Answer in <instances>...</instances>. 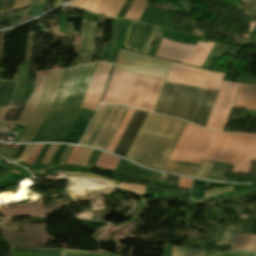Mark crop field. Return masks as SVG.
<instances>
[{"instance_id":"obj_1","label":"crop field","mask_w":256,"mask_h":256,"mask_svg":"<svg viewBox=\"0 0 256 256\" xmlns=\"http://www.w3.org/2000/svg\"><path fill=\"white\" fill-rule=\"evenodd\" d=\"M256 137L187 127L172 159L197 164L201 160L234 164L236 172L249 173Z\"/></svg>"},{"instance_id":"obj_2","label":"crop field","mask_w":256,"mask_h":256,"mask_svg":"<svg viewBox=\"0 0 256 256\" xmlns=\"http://www.w3.org/2000/svg\"><path fill=\"white\" fill-rule=\"evenodd\" d=\"M187 123L148 113L126 158L149 168L195 176L196 166L168 161Z\"/></svg>"},{"instance_id":"obj_3","label":"crop field","mask_w":256,"mask_h":256,"mask_svg":"<svg viewBox=\"0 0 256 256\" xmlns=\"http://www.w3.org/2000/svg\"><path fill=\"white\" fill-rule=\"evenodd\" d=\"M95 64L67 69L56 99L33 142H61L76 116Z\"/></svg>"},{"instance_id":"obj_4","label":"crop field","mask_w":256,"mask_h":256,"mask_svg":"<svg viewBox=\"0 0 256 256\" xmlns=\"http://www.w3.org/2000/svg\"><path fill=\"white\" fill-rule=\"evenodd\" d=\"M218 91L165 83L154 112L204 127Z\"/></svg>"},{"instance_id":"obj_5","label":"crop field","mask_w":256,"mask_h":256,"mask_svg":"<svg viewBox=\"0 0 256 256\" xmlns=\"http://www.w3.org/2000/svg\"><path fill=\"white\" fill-rule=\"evenodd\" d=\"M127 108L101 105L80 144L106 150Z\"/></svg>"},{"instance_id":"obj_6","label":"crop field","mask_w":256,"mask_h":256,"mask_svg":"<svg viewBox=\"0 0 256 256\" xmlns=\"http://www.w3.org/2000/svg\"><path fill=\"white\" fill-rule=\"evenodd\" d=\"M170 63L139 53L119 50L115 70L164 79Z\"/></svg>"},{"instance_id":"obj_7","label":"crop field","mask_w":256,"mask_h":256,"mask_svg":"<svg viewBox=\"0 0 256 256\" xmlns=\"http://www.w3.org/2000/svg\"><path fill=\"white\" fill-rule=\"evenodd\" d=\"M213 44L198 41L196 46H192L162 38L155 56L201 67Z\"/></svg>"},{"instance_id":"obj_8","label":"crop field","mask_w":256,"mask_h":256,"mask_svg":"<svg viewBox=\"0 0 256 256\" xmlns=\"http://www.w3.org/2000/svg\"><path fill=\"white\" fill-rule=\"evenodd\" d=\"M65 70L66 69L55 70L51 72L43 96L32 117L30 118L27 126L25 127L23 133L21 134L18 142H32L36 132L38 131L41 123L43 122L47 112L49 111L55 99Z\"/></svg>"},{"instance_id":"obj_9","label":"crop field","mask_w":256,"mask_h":256,"mask_svg":"<svg viewBox=\"0 0 256 256\" xmlns=\"http://www.w3.org/2000/svg\"><path fill=\"white\" fill-rule=\"evenodd\" d=\"M112 66L113 65L98 63L94 73L109 75ZM108 77L109 76H105V75H97V74L93 75L88 91L86 93L85 99L83 101L84 103L97 106ZM84 103L82 104L81 107L93 109V110L96 109V106H92Z\"/></svg>"},{"instance_id":"obj_10","label":"crop field","mask_w":256,"mask_h":256,"mask_svg":"<svg viewBox=\"0 0 256 256\" xmlns=\"http://www.w3.org/2000/svg\"><path fill=\"white\" fill-rule=\"evenodd\" d=\"M125 0H76L68 6L79 7L93 13L116 17Z\"/></svg>"},{"instance_id":"obj_11","label":"crop field","mask_w":256,"mask_h":256,"mask_svg":"<svg viewBox=\"0 0 256 256\" xmlns=\"http://www.w3.org/2000/svg\"><path fill=\"white\" fill-rule=\"evenodd\" d=\"M147 113L135 110L113 153L125 157Z\"/></svg>"},{"instance_id":"obj_12","label":"crop field","mask_w":256,"mask_h":256,"mask_svg":"<svg viewBox=\"0 0 256 256\" xmlns=\"http://www.w3.org/2000/svg\"><path fill=\"white\" fill-rule=\"evenodd\" d=\"M93 113V110L80 108L63 142H71L78 144Z\"/></svg>"},{"instance_id":"obj_13","label":"crop field","mask_w":256,"mask_h":256,"mask_svg":"<svg viewBox=\"0 0 256 256\" xmlns=\"http://www.w3.org/2000/svg\"><path fill=\"white\" fill-rule=\"evenodd\" d=\"M48 77H49V74L39 75L36 89L32 97L28 101V103L25 105L16 124L24 125V126L27 124L29 118L31 117L34 109L36 108L42 96Z\"/></svg>"},{"instance_id":"obj_14","label":"crop field","mask_w":256,"mask_h":256,"mask_svg":"<svg viewBox=\"0 0 256 256\" xmlns=\"http://www.w3.org/2000/svg\"><path fill=\"white\" fill-rule=\"evenodd\" d=\"M149 28V25L131 21L126 35L124 47L138 51Z\"/></svg>"},{"instance_id":"obj_15","label":"crop field","mask_w":256,"mask_h":256,"mask_svg":"<svg viewBox=\"0 0 256 256\" xmlns=\"http://www.w3.org/2000/svg\"><path fill=\"white\" fill-rule=\"evenodd\" d=\"M232 250L256 251V236L234 233Z\"/></svg>"},{"instance_id":"obj_16","label":"crop field","mask_w":256,"mask_h":256,"mask_svg":"<svg viewBox=\"0 0 256 256\" xmlns=\"http://www.w3.org/2000/svg\"><path fill=\"white\" fill-rule=\"evenodd\" d=\"M218 253H219V250H202V249L174 246L172 256H213Z\"/></svg>"},{"instance_id":"obj_17","label":"crop field","mask_w":256,"mask_h":256,"mask_svg":"<svg viewBox=\"0 0 256 256\" xmlns=\"http://www.w3.org/2000/svg\"><path fill=\"white\" fill-rule=\"evenodd\" d=\"M1 77V69H0ZM16 81L0 79V107L8 105Z\"/></svg>"},{"instance_id":"obj_18","label":"crop field","mask_w":256,"mask_h":256,"mask_svg":"<svg viewBox=\"0 0 256 256\" xmlns=\"http://www.w3.org/2000/svg\"><path fill=\"white\" fill-rule=\"evenodd\" d=\"M13 3L14 0H0V14L9 12L12 8ZM29 3L30 0H15L12 10L27 7Z\"/></svg>"},{"instance_id":"obj_19","label":"crop field","mask_w":256,"mask_h":256,"mask_svg":"<svg viewBox=\"0 0 256 256\" xmlns=\"http://www.w3.org/2000/svg\"><path fill=\"white\" fill-rule=\"evenodd\" d=\"M95 24L96 22H89L88 43L83 64L91 62L94 50Z\"/></svg>"},{"instance_id":"obj_20","label":"crop field","mask_w":256,"mask_h":256,"mask_svg":"<svg viewBox=\"0 0 256 256\" xmlns=\"http://www.w3.org/2000/svg\"><path fill=\"white\" fill-rule=\"evenodd\" d=\"M87 32H88V22L82 21V45L80 48L76 65L82 64L83 62V58L86 50V43H87Z\"/></svg>"},{"instance_id":"obj_21","label":"crop field","mask_w":256,"mask_h":256,"mask_svg":"<svg viewBox=\"0 0 256 256\" xmlns=\"http://www.w3.org/2000/svg\"><path fill=\"white\" fill-rule=\"evenodd\" d=\"M118 161H119V158L103 153L100 160L97 163V166L114 170Z\"/></svg>"},{"instance_id":"obj_22","label":"crop field","mask_w":256,"mask_h":256,"mask_svg":"<svg viewBox=\"0 0 256 256\" xmlns=\"http://www.w3.org/2000/svg\"><path fill=\"white\" fill-rule=\"evenodd\" d=\"M47 0H32L30 4V19L43 13Z\"/></svg>"},{"instance_id":"obj_23","label":"crop field","mask_w":256,"mask_h":256,"mask_svg":"<svg viewBox=\"0 0 256 256\" xmlns=\"http://www.w3.org/2000/svg\"><path fill=\"white\" fill-rule=\"evenodd\" d=\"M81 149V148H80ZM80 151V150H79ZM93 150H90V149H84L82 148L74 165L75 166H81V167H85L91 154H92Z\"/></svg>"},{"instance_id":"obj_24","label":"crop field","mask_w":256,"mask_h":256,"mask_svg":"<svg viewBox=\"0 0 256 256\" xmlns=\"http://www.w3.org/2000/svg\"><path fill=\"white\" fill-rule=\"evenodd\" d=\"M206 182L194 180L191 186V195L204 197Z\"/></svg>"},{"instance_id":"obj_25","label":"crop field","mask_w":256,"mask_h":256,"mask_svg":"<svg viewBox=\"0 0 256 256\" xmlns=\"http://www.w3.org/2000/svg\"><path fill=\"white\" fill-rule=\"evenodd\" d=\"M61 256H113V255H105V254H97V253H89V252H81V251L62 250Z\"/></svg>"},{"instance_id":"obj_26","label":"crop field","mask_w":256,"mask_h":256,"mask_svg":"<svg viewBox=\"0 0 256 256\" xmlns=\"http://www.w3.org/2000/svg\"><path fill=\"white\" fill-rule=\"evenodd\" d=\"M64 177H90V178H94V179H98V180L107 181V182L112 183V184L115 183V182H113L109 179L98 177V176L91 175V174H85V173L65 172Z\"/></svg>"},{"instance_id":"obj_27","label":"crop field","mask_w":256,"mask_h":256,"mask_svg":"<svg viewBox=\"0 0 256 256\" xmlns=\"http://www.w3.org/2000/svg\"><path fill=\"white\" fill-rule=\"evenodd\" d=\"M212 166H213V164H211V163L202 162L196 177L207 178L209 173H210V170H211Z\"/></svg>"},{"instance_id":"obj_28","label":"crop field","mask_w":256,"mask_h":256,"mask_svg":"<svg viewBox=\"0 0 256 256\" xmlns=\"http://www.w3.org/2000/svg\"><path fill=\"white\" fill-rule=\"evenodd\" d=\"M122 22L123 21H119L118 25H117V28H116V32H115V36H114L113 49H112V53H111L110 60H109V62H111V63H113V61H114L115 53H116V50H117L118 37H119L120 30H121Z\"/></svg>"},{"instance_id":"obj_29","label":"crop field","mask_w":256,"mask_h":256,"mask_svg":"<svg viewBox=\"0 0 256 256\" xmlns=\"http://www.w3.org/2000/svg\"><path fill=\"white\" fill-rule=\"evenodd\" d=\"M119 187L130 191V192H134V193H138V194H142L144 193V186H140V185H129V184H119Z\"/></svg>"},{"instance_id":"obj_30","label":"crop field","mask_w":256,"mask_h":256,"mask_svg":"<svg viewBox=\"0 0 256 256\" xmlns=\"http://www.w3.org/2000/svg\"><path fill=\"white\" fill-rule=\"evenodd\" d=\"M67 145H60L57 152L53 155L52 159L50 160L48 165H58V162L60 160V157L62 156L65 148Z\"/></svg>"},{"instance_id":"obj_31","label":"crop field","mask_w":256,"mask_h":256,"mask_svg":"<svg viewBox=\"0 0 256 256\" xmlns=\"http://www.w3.org/2000/svg\"><path fill=\"white\" fill-rule=\"evenodd\" d=\"M159 28L155 27L142 53L148 54Z\"/></svg>"},{"instance_id":"obj_32","label":"crop field","mask_w":256,"mask_h":256,"mask_svg":"<svg viewBox=\"0 0 256 256\" xmlns=\"http://www.w3.org/2000/svg\"><path fill=\"white\" fill-rule=\"evenodd\" d=\"M43 144L41 145H36V147L34 148L33 152L31 153V155L29 156L28 160H27V164H31L33 165L37 155L39 154L41 148H42Z\"/></svg>"},{"instance_id":"obj_33","label":"crop field","mask_w":256,"mask_h":256,"mask_svg":"<svg viewBox=\"0 0 256 256\" xmlns=\"http://www.w3.org/2000/svg\"><path fill=\"white\" fill-rule=\"evenodd\" d=\"M233 190L232 187H227V188H221V189H215V190H211V191H207L205 192V197H209V196H213L219 193H223V192H227V191H231Z\"/></svg>"},{"instance_id":"obj_34","label":"crop field","mask_w":256,"mask_h":256,"mask_svg":"<svg viewBox=\"0 0 256 256\" xmlns=\"http://www.w3.org/2000/svg\"><path fill=\"white\" fill-rule=\"evenodd\" d=\"M58 147H59V145H54V144L51 145V147H50V149H49L47 155L45 156V158H44V160H43L41 165L48 164L51 156L53 155V153L56 151V149Z\"/></svg>"},{"instance_id":"obj_35","label":"crop field","mask_w":256,"mask_h":256,"mask_svg":"<svg viewBox=\"0 0 256 256\" xmlns=\"http://www.w3.org/2000/svg\"><path fill=\"white\" fill-rule=\"evenodd\" d=\"M50 147V145H44L43 149L41 150L40 154L38 155L34 165H40L48 148Z\"/></svg>"},{"instance_id":"obj_36","label":"crop field","mask_w":256,"mask_h":256,"mask_svg":"<svg viewBox=\"0 0 256 256\" xmlns=\"http://www.w3.org/2000/svg\"><path fill=\"white\" fill-rule=\"evenodd\" d=\"M192 181V179L180 178L177 187L189 189Z\"/></svg>"},{"instance_id":"obj_37","label":"crop field","mask_w":256,"mask_h":256,"mask_svg":"<svg viewBox=\"0 0 256 256\" xmlns=\"http://www.w3.org/2000/svg\"><path fill=\"white\" fill-rule=\"evenodd\" d=\"M219 256H254V253L250 252H227Z\"/></svg>"},{"instance_id":"obj_38","label":"crop field","mask_w":256,"mask_h":256,"mask_svg":"<svg viewBox=\"0 0 256 256\" xmlns=\"http://www.w3.org/2000/svg\"><path fill=\"white\" fill-rule=\"evenodd\" d=\"M34 147H35V145H28L27 149L25 150L24 154L21 156V158L19 160L25 162Z\"/></svg>"},{"instance_id":"obj_39","label":"crop field","mask_w":256,"mask_h":256,"mask_svg":"<svg viewBox=\"0 0 256 256\" xmlns=\"http://www.w3.org/2000/svg\"><path fill=\"white\" fill-rule=\"evenodd\" d=\"M72 148H73V146H71V145L67 146V149L60 160V165H65L66 159H67L68 155L70 154Z\"/></svg>"},{"instance_id":"obj_40","label":"crop field","mask_w":256,"mask_h":256,"mask_svg":"<svg viewBox=\"0 0 256 256\" xmlns=\"http://www.w3.org/2000/svg\"><path fill=\"white\" fill-rule=\"evenodd\" d=\"M27 145H20L15 155L12 159L18 160L19 157L23 154L24 150L26 149Z\"/></svg>"},{"instance_id":"obj_41","label":"crop field","mask_w":256,"mask_h":256,"mask_svg":"<svg viewBox=\"0 0 256 256\" xmlns=\"http://www.w3.org/2000/svg\"><path fill=\"white\" fill-rule=\"evenodd\" d=\"M9 110L10 108L0 109V122L2 121V119L5 117V115L8 113Z\"/></svg>"},{"instance_id":"obj_42","label":"crop field","mask_w":256,"mask_h":256,"mask_svg":"<svg viewBox=\"0 0 256 256\" xmlns=\"http://www.w3.org/2000/svg\"><path fill=\"white\" fill-rule=\"evenodd\" d=\"M12 250H20V251H36V252H52V253H60L61 251H45V250H22V249H12Z\"/></svg>"},{"instance_id":"obj_43","label":"crop field","mask_w":256,"mask_h":256,"mask_svg":"<svg viewBox=\"0 0 256 256\" xmlns=\"http://www.w3.org/2000/svg\"><path fill=\"white\" fill-rule=\"evenodd\" d=\"M205 199H206V198H199V197H193V196H191L189 200L201 203V202L204 201Z\"/></svg>"},{"instance_id":"obj_44","label":"crop field","mask_w":256,"mask_h":256,"mask_svg":"<svg viewBox=\"0 0 256 256\" xmlns=\"http://www.w3.org/2000/svg\"><path fill=\"white\" fill-rule=\"evenodd\" d=\"M247 6L256 2V0H242Z\"/></svg>"},{"instance_id":"obj_45","label":"crop field","mask_w":256,"mask_h":256,"mask_svg":"<svg viewBox=\"0 0 256 256\" xmlns=\"http://www.w3.org/2000/svg\"><path fill=\"white\" fill-rule=\"evenodd\" d=\"M60 3H61V0H56L55 7L60 5Z\"/></svg>"},{"instance_id":"obj_46","label":"crop field","mask_w":256,"mask_h":256,"mask_svg":"<svg viewBox=\"0 0 256 256\" xmlns=\"http://www.w3.org/2000/svg\"><path fill=\"white\" fill-rule=\"evenodd\" d=\"M239 84H241V83H239ZM242 85H252V84H242ZM253 86H256V85H253ZM235 108H243V107H235ZM246 109H250V108H246ZM252 110H254V109H252Z\"/></svg>"},{"instance_id":"obj_47","label":"crop field","mask_w":256,"mask_h":256,"mask_svg":"<svg viewBox=\"0 0 256 256\" xmlns=\"http://www.w3.org/2000/svg\"><path fill=\"white\" fill-rule=\"evenodd\" d=\"M67 1H69V0H62V3H61V4L65 3V2H67Z\"/></svg>"},{"instance_id":"obj_48","label":"crop field","mask_w":256,"mask_h":256,"mask_svg":"<svg viewBox=\"0 0 256 256\" xmlns=\"http://www.w3.org/2000/svg\"><path fill=\"white\" fill-rule=\"evenodd\" d=\"M224 82H227V81H224ZM227 83H235V82H227ZM235 84H238V83H235Z\"/></svg>"},{"instance_id":"obj_49","label":"crop field","mask_w":256,"mask_h":256,"mask_svg":"<svg viewBox=\"0 0 256 256\" xmlns=\"http://www.w3.org/2000/svg\"><path fill=\"white\" fill-rule=\"evenodd\" d=\"M9 162H11V163H13V164H16V165L18 164V163H16V162H12V161H9Z\"/></svg>"},{"instance_id":"obj_50","label":"crop field","mask_w":256,"mask_h":256,"mask_svg":"<svg viewBox=\"0 0 256 256\" xmlns=\"http://www.w3.org/2000/svg\"><path fill=\"white\" fill-rule=\"evenodd\" d=\"M253 161H256V153H255V157H254V160Z\"/></svg>"},{"instance_id":"obj_51","label":"crop field","mask_w":256,"mask_h":256,"mask_svg":"<svg viewBox=\"0 0 256 256\" xmlns=\"http://www.w3.org/2000/svg\"><path fill=\"white\" fill-rule=\"evenodd\" d=\"M51 1H55V0H48L47 2H51Z\"/></svg>"},{"instance_id":"obj_52","label":"crop field","mask_w":256,"mask_h":256,"mask_svg":"<svg viewBox=\"0 0 256 256\" xmlns=\"http://www.w3.org/2000/svg\"><path fill=\"white\" fill-rule=\"evenodd\" d=\"M253 9H256V6H255V7H253Z\"/></svg>"},{"instance_id":"obj_53","label":"crop field","mask_w":256,"mask_h":256,"mask_svg":"<svg viewBox=\"0 0 256 256\" xmlns=\"http://www.w3.org/2000/svg\"><path fill=\"white\" fill-rule=\"evenodd\" d=\"M11 172V171H10ZM13 173H17V172H14V171H12Z\"/></svg>"},{"instance_id":"obj_54","label":"crop field","mask_w":256,"mask_h":256,"mask_svg":"<svg viewBox=\"0 0 256 256\" xmlns=\"http://www.w3.org/2000/svg\"><path fill=\"white\" fill-rule=\"evenodd\" d=\"M255 256H256V253H255Z\"/></svg>"}]
</instances>
